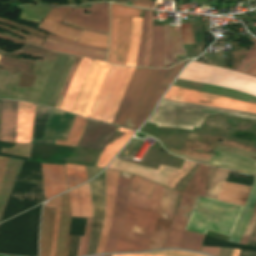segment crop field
I'll return each mask as SVG.
<instances>
[{
	"mask_svg": "<svg viewBox=\"0 0 256 256\" xmlns=\"http://www.w3.org/2000/svg\"><path fill=\"white\" fill-rule=\"evenodd\" d=\"M184 63L167 70L136 68L112 123L137 130Z\"/></svg>",
	"mask_w": 256,
	"mask_h": 256,
	"instance_id": "1",
	"label": "crop field"
},
{
	"mask_svg": "<svg viewBox=\"0 0 256 256\" xmlns=\"http://www.w3.org/2000/svg\"><path fill=\"white\" fill-rule=\"evenodd\" d=\"M163 186L156 184L150 198L131 192L129 204L155 210L160 200ZM128 206V211L120 234L116 252L145 250L158 217L155 211Z\"/></svg>",
	"mask_w": 256,
	"mask_h": 256,
	"instance_id": "2",
	"label": "crop field"
},
{
	"mask_svg": "<svg viewBox=\"0 0 256 256\" xmlns=\"http://www.w3.org/2000/svg\"><path fill=\"white\" fill-rule=\"evenodd\" d=\"M160 104L201 110V111H208V112H214V113H220V114H226V115L256 120V114H253V113L236 111V110H227V109L217 108L213 106L187 104V103L175 102V101H170L165 99H162ZM162 105L158 106L154 115L148 120V122L156 123L158 124V126H164V127H179V128L192 129L193 127H200V125L206 119L207 115L214 114V113L181 109V108L168 107V106H162Z\"/></svg>",
	"mask_w": 256,
	"mask_h": 256,
	"instance_id": "3",
	"label": "crop field"
},
{
	"mask_svg": "<svg viewBox=\"0 0 256 256\" xmlns=\"http://www.w3.org/2000/svg\"><path fill=\"white\" fill-rule=\"evenodd\" d=\"M242 209L198 196L186 230L203 234L209 230L230 236Z\"/></svg>",
	"mask_w": 256,
	"mask_h": 256,
	"instance_id": "4",
	"label": "crop field"
},
{
	"mask_svg": "<svg viewBox=\"0 0 256 256\" xmlns=\"http://www.w3.org/2000/svg\"><path fill=\"white\" fill-rule=\"evenodd\" d=\"M180 79L227 87L256 95V78L221 67L206 66L191 62Z\"/></svg>",
	"mask_w": 256,
	"mask_h": 256,
	"instance_id": "5",
	"label": "crop field"
},
{
	"mask_svg": "<svg viewBox=\"0 0 256 256\" xmlns=\"http://www.w3.org/2000/svg\"><path fill=\"white\" fill-rule=\"evenodd\" d=\"M208 168L209 166L200 164L184 192H179L174 219L164 248H178L196 197L197 195L203 196L205 193Z\"/></svg>",
	"mask_w": 256,
	"mask_h": 256,
	"instance_id": "6",
	"label": "crop field"
},
{
	"mask_svg": "<svg viewBox=\"0 0 256 256\" xmlns=\"http://www.w3.org/2000/svg\"><path fill=\"white\" fill-rule=\"evenodd\" d=\"M110 66L104 62L92 61L72 113L89 117Z\"/></svg>",
	"mask_w": 256,
	"mask_h": 256,
	"instance_id": "7",
	"label": "crop field"
},
{
	"mask_svg": "<svg viewBox=\"0 0 256 256\" xmlns=\"http://www.w3.org/2000/svg\"><path fill=\"white\" fill-rule=\"evenodd\" d=\"M130 67L111 66L89 118L106 122Z\"/></svg>",
	"mask_w": 256,
	"mask_h": 256,
	"instance_id": "8",
	"label": "crop field"
},
{
	"mask_svg": "<svg viewBox=\"0 0 256 256\" xmlns=\"http://www.w3.org/2000/svg\"><path fill=\"white\" fill-rule=\"evenodd\" d=\"M194 164L185 160L181 169L160 165L159 170H155L114 159L108 168L131 172L174 188L176 183L191 170Z\"/></svg>",
	"mask_w": 256,
	"mask_h": 256,
	"instance_id": "9",
	"label": "crop field"
},
{
	"mask_svg": "<svg viewBox=\"0 0 256 256\" xmlns=\"http://www.w3.org/2000/svg\"><path fill=\"white\" fill-rule=\"evenodd\" d=\"M131 174L120 172L115 194L114 211L111 228L104 253L115 252L119 234L127 211L129 189L132 183Z\"/></svg>",
	"mask_w": 256,
	"mask_h": 256,
	"instance_id": "10",
	"label": "crop field"
},
{
	"mask_svg": "<svg viewBox=\"0 0 256 256\" xmlns=\"http://www.w3.org/2000/svg\"><path fill=\"white\" fill-rule=\"evenodd\" d=\"M91 5L92 9L74 8L62 21V23L76 28L108 35L109 3H97ZM82 10H92V13L89 15H84L82 14Z\"/></svg>",
	"mask_w": 256,
	"mask_h": 256,
	"instance_id": "11",
	"label": "crop field"
},
{
	"mask_svg": "<svg viewBox=\"0 0 256 256\" xmlns=\"http://www.w3.org/2000/svg\"><path fill=\"white\" fill-rule=\"evenodd\" d=\"M166 99L179 100L185 102H194L200 104L213 105L217 107L232 108L256 113V104L244 103L232 100L226 97L210 95L201 92H195L180 87L172 86L168 93L165 95ZM200 100L207 101L206 103Z\"/></svg>",
	"mask_w": 256,
	"mask_h": 256,
	"instance_id": "12",
	"label": "crop field"
},
{
	"mask_svg": "<svg viewBox=\"0 0 256 256\" xmlns=\"http://www.w3.org/2000/svg\"><path fill=\"white\" fill-rule=\"evenodd\" d=\"M132 18L111 17L109 50L106 62L125 65Z\"/></svg>",
	"mask_w": 256,
	"mask_h": 256,
	"instance_id": "13",
	"label": "crop field"
},
{
	"mask_svg": "<svg viewBox=\"0 0 256 256\" xmlns=\"http://www.w3.org/2000/svg\"><path fill=\"white\" fill-rule=\"evenodd\" d=\"M176 190L164 188L162 198L158 205L156 213L167 215L166 220L158 219L157 225L146 250L163 248L168 230L173 219L175 204L178 196Z\"/></svg>",
	"mask_w": 256,
	"mask_h": 256,
	"instance_id": "14",
	"label": "crop field"
},
{
	"mask_svg": "<svg viewBox=\"0 0 256 256\" xmlns=\"http://www.w3.org/2000/svg\"><path fill=\"white\" fill-rule=\"evenodd\" d=\"M91 189L93 207H94V224L91 235L90 245L87 255L95 254L97 243L103 223L105 209V171L97 178L88 182Z\"/></svg>",
	"mask_w": 256,
	"mask_h": 256,
	"instance_id": "15",
	"label": "crop field"
},
{
	"mask_svg": "<svg viewBox=\"0 0 256 256\" xmlns=\"http://www.w3.org/2000/svg\"><path fill=\"white\" fill-rule=\"evenodd\" d=\"M71 9L72 7L53 8L43 19L38 29L75 41L81 30L59 24Z\"/></svg>",
	"mask_w": 256,
	"mask_h": 256,
	"instance_id": "16",
	"label": "crop field"
},
{
	"mask_svg": "<svg viewBox=\"0 0 256 256\" xmlns=\"http://www.w3.org/2000/svg\"><path fill=\"white\" fill-rule=\"evenodd\" d=\"M19 101L2 100L0 141L16 143Z\"/></svg>",
	"mask_w": 256,
	"mask_h": 256,
	"instance_id": "17",
	"label": "crop field"
},
{
	"mask_svg": "<svg viewBox=\"0 0 256 256\" xmlns=\"http://www.w3.org/2000/svg\"><path fill=\"white\" fill-rule=\"evenodd\" d=\"M118 171L113 170H106V210H105V220H104V227L100 239V243L98 246V250L96 254H100L104 252L110 223L113 211V202H114V194L117 185L118 179Z\"/></svg>",
	"mask_w": 256,
	"mask_h": 256,
	"instance_id": "18",
	"label": "crop field"
},
{
	"mask_svg": "<svg viewBox=\"0 0 256 256\" xmlns=\"http://www.w3.org/2000/svg\"><path fill=\"white\" fill-rule=\"evenodd\" d=\"M216 155L210 161V165L227 167L256 174V160L237 154L215 150Z\"/></svg>",
	"mask_w": 256,
	"mask_h": 256,
	"instance_id": "19",
	"label": "crop field"
},
{
	"mask_svg": "<svg viewBox=\"0 0 256 256\" xmlns=\"http://www.w3.org/2000/svg\"><path fill=\"white\" fill-rule=\"evenodd\" d=\"M43 176L46 200L67 190L63 165L43 164Z\"/></svg>",
	"mask_w": 256,
	"mask_h": 256,
	"instance_id": "20",
	"label": "crop field"
},
{
	"mask_svg": "<svg viewBox=\"0 0 256 256\" xmlns=\"http://www.w3.org/2000/svg\"><path fill=\"white\" fill-rule=\"evenodd\" d=\"M71 218L69 193L66 192L61 195V215L59 230L57 236L56 255L66 256L70 236H67L69 222Z\"/></svg>",
	"mask_w": 256,
	"mask_h": 256,
	"instance_id": "21",
	"label": "crop field"
},
{
	"mask_svg": "<svg viewBox=\"0 0 256 256\" xmlns=\"http://www.w3.org/2000/svg\"><path fill=\"white\" fill-rule=\"evenodd\" d=\"M72 216L92 218V204L88 183L69 191Z\"/></svg>",
	"mask_w": 256,
	"mask_h": 256,
	"instance_id": "22",
	"label": "crop field"
},
{
	"mask_svg": "<svg viewBox=\"0 0 256 256\" xmlns=\"http://www.w3.org/2000/svg\"><path fill=\"white\" fill-rule=\"evenodd\" d=\"M35 105L20 102L18 112L17 143H30Z\"/></svg>",
	"mask_w": 256,
	"mask_h": 256,
	"instance_id": "23",
	"label": "crop field"
},
{
	"mask_svg": "<svg viewBox=\"0 0 256 256\" xmlns=\"http://www.w3.org/2000/svg\"><path fill=\"white\" fill-rule=\"evenodd\" d=\"M91 61L92 60L90 59H81L77 70L71 80L61 109L70 112Z\"/></svg>",
	"mask_w": 256,
	"mask_h": 256,
	"instance_id": "24",
	"label": "crop field"
},
{
	"mask_svg": "<svg viewBox=\"0 0 256 256\" xmlns=\"http://www.w3.org/2000/svg\"><path fill=\"white\" fill-rule=\"evenodd\" d=\"M165 36V62L164 68L174 63V55H185L180 42L179 27L163 25Z\"/></svg>",
	"mask_w": 256,
	"mask_h": 256,
	"instance_id": "25",
	"label": "crop field"
},
{
	"mask_svg": "<svg viewBox=\"0 0 256 256\" xmlns=\"http://www.w3.org/2000/svg\"><path fill=\"white\" fill-rule=\"evenodd\" d=\"M23 161L9 158L4 179L0 189V219L2 217L4 206L11 193L14 181Z\"/></svg>",
	"mask_w": 256,
	"mask_h": 256,
	"instance_id": "26",
	"label": "crop field"
},
{
	"mask_svg": "<svg viewBox=\"0 0 256 256\" xmlns=\"http://www.w3.org/2000/svg\"><path fill=\"white\" fill-rule=\"evenodd\" d=\"M250 188L249 186L225 182L217 200L243 207Z\"/></svg>",
	"mask_w": 256,
	"mask_h": 256,
	"instance_id": "27",
	"label": "crop field"
},
{
	"mask_svg": "<svg viewBox=\"0 0 256 256\" xmlns=\"http://www.w3.org/2000/svg\"><path fill=\"white\" fill-rule=\"evenodd\" d=\"M256 205V176L243 212L228 241L238 243Z\"/></svg>",
	"mask_w": 256,
	"mask_h": 256,
	"instance_id": "28",
	"label": "crop field"
},
{
	"mask_svg": "<svg viewBox=\"0 0 256 256\" xmlns=\"http://www.w3.org/2000/svg\"><path fill=\"white\" fill-rule=\"evenodd\" d=\"M55 209L56 208H50L46 206L44 208L42 224H41V241H40L41 256H49Z\"/></svg>",
	"mask_w": 256,
	"mask_h": 256,
	"instance_id": "29",
	"label": "crop field"
},
{
	"mask_svg": "<svg viewBox=\"0 0 256 256\" xmlns=\"http://www.w3.org/2000/svg\"><path fill=\"white\" fill-rule=\"evenodd\" d=\"M164 52V36L162 26H154L153 47L151 53L150 67L162 68Z\"/></svg>",
	"mask_w": 256,
	"mask_h": 256,
	"instance_id": "30",
	"label": "crop field"
},
{
	"mask_svg": "<svg viewBox=\"0 0 256 256\" xmlns=\"http://www.w3.org/2000/svg\"><path fill=\"white\" fill-rule=\"evenodd\" d=\"M228 171L229 170L210 167L207 180L208 188L206 189V193L204 196L214 199L216 198Z\"/></svg>",
	"mask_w": 256,
	"mask_h": 256,
	"instance_id": "31",
	"label": "crop field"
},
{
	"mask_svg": "<svg viewBox=\"0 0 256 256\" xmlns=\"http://www.w3.org/2000/svg\"><path fill=\"white\" fill-rule=\"evenodd\" d=\"M119 131L126 132L124 136L118 138L113 143H109L108 146L103 151L100 160L98 162L99 167H106L110 160L115 156V154L121 149V147L126 143V141L132 136L133 131L118 128Z\"/></svg>",
	"mask_w": 256,
	"mask_h": 256,
	"instance_id": "32",
	"label": "crop field"
},
{
	"mask_svg": "<svg viewBox=\"0 0 256 256\" xmlns=\"http://www.w3.org/2000/svg\"><path fill=\"white\" fill-rule=\"evenodd\" d=\"M141 29H142V18H133V25H132V33L128 48V56L126 65H133L136 64L137 59V51L141 36Z\"/></svg>",
	"mask_w": 256,
	"mask_h": 256,
	"instance_id": "33",
	"label": "crop field"
},
{
	"mask_svg": "<svg viewBox=\"0 0 256 256\" xmlns=\"http://www.w3.org/2000/svg\"><path fill=\"white\" fill-rule=\"evenodd\" d=\"M69 189L87 181L85 166L65 164Z\"/></svg>",
	"mask_w": 256,
	"mask_h": 256,
	"instance_id": "34",
	"label": "crop field"
},
{
	"mask_svg": "<svg viewBox=\"0 0 256 256\" xmlns=\"http://www.w3.org/2000/svg\"><path fill=\"white\" fill-rule=\"evenodd\" d=\"M254 45L242 59L236 71L256 77V41L252 39Z\"/></svg>",
	"mask_w": 256,
	"mask_h": 256,
	"instance_id": "35",
	"label": "crop field"
},
{
	"mask_svg": "<svg viewBox=\"0 0 256 256\" xmlns=\"http://www.w3.org/2000/svg\"><path fill=\"white\" fill-rule=\"evenodd\" d=\"M23 9L21 19L39 23L41 19L51 10L49 7L43 6H26L18 7Z\"/></svg>",
	"mask_w": 256,
	"mask_h": 256,
	"instance_id": "36",
	"label": "crop field"
},
{
	"mask_svg": "<svg viewBox=\"0 0 256 256\" xmlns=\"http://www.w3.org/2000/svg\"><path fill=\"white\" fill-rule=\"evenodd\" d=\"M108 36L83 30L77 42L107 48Z\"/></svg>",
	"mask_w": 256,
	"mask_h": 256,
	"instance_id": "37",
	"label": "crop field"
},
{
	"mask_svg": "<svg viewBox=\"0 0 256 256\" xmlns=\"http://www.w3.org/2000/svg\"><path fill=\"white\" fill-rule=\"evenodd\" d=\"M204 236L203 234L186 231L179 248L199 251Z\"/></svg>",
	"mask_w": 256,
	"mask_h": 256,
	"instance_id": "38",
	"label": "crop field"
},
{
	"mask_svg": "<svg viewBox=\"0 0 256 256\" xmlns=\"http://www.w3.org/2000/svg\"><path fill=\"white\" fill-rule=\"evenodd\" d=\"M141 11V9L112 3L110 14L117 17H139Z\"/></svg>",
	"mask_w": 256,
	"mask_h": 256,
	"instance_id": "39",
	"label": "crop field"
},
{
	"mask_svg": "<svg viewBox=\"0 0 256 256\" xmlns=\"http://www.w3.org/2000/svg\"><path fill=\"white\" fill-rule=\"evenodd\" d=\"M154 185L146 179L135 176L130 190L149 197Z\"/></svg>",
	"mask_w": 256,
	"mask_h": 256,
	"instance_id": "40",
	"label": "crop field"
},
{
	"mask_svg": "<svg viewBox=\"0 0 256 256\" xmlns=\"http://www.w3.org/2000/svg\"><path fill=\"white\" fill-rule=\"evenodd\" d=\"M85 126L86 119L76 115L67 140L79 141L85 130Z\"/></svg>",
	"mask_w": 256,
	"mask_h": 256,
	"instance_id": "41",
	"label": "crop field"
},
{
	"mask_svg": "<svg viewBox=\"0 0 256 256\" xmlns=\"http://www.w3.org/2000/svg\"><path fill=\"white\" fill-rule=\"evenodd\" d=\"M46 205L57 206V210H56V214H55V220H54V227H53L51 251H50V256H54L55 255V245H56L58 219H59V213H60V196L51 200V201H49Z\"/></svg>",
	"mask_w": 256,
	"mask_h": 256,
	"instance_id": "42",
	"label": "crop field"
},
{
	"mask_svg": "<svg viewBox=\"0 0 256 256\" xmlns=\"http://www.w3.org/2000/svg\"><path fill=\"white\" fill-rule=\"evenodd\" d=\"M113 256H204L201 254L190 253L186 251H158L144 254H126V255H113Z\"/></svg>",
	"mask_w": 256,
	"mask_h": 256,
	"instance_id": "43",
	"label": "crop field"
},
{
	"mask_svg": "<svg viewBox=\"0 0 256 256\" xmlns=\"http://www.w3.org/2000/svg\"><path fill=\"white\" fill-rule=\"evenodd\" d=\"M152 11L148 10V24H147V39H146V51L143 66L148 67L151 53V39H152Z\"/></svg>",
	"mask_w": 256,
	"mask_h": 256,
	"instance_id": "44",
	"label": "crop field"
},
{
	"mask_svg": "<svg viewBox=\"0 0 256 256\" xmlns=\"http://www.w3.org/2000/svg\"><path fill=\"white\" fill-rule=\"evenodd\" d=\"M92 224H93V220L87 219L85 234H84V237H81V239H80L79 250H78L77 256L86 255L87 247H88V243H89V239H90V235H91V230H92Z\"/></svg>",
	"mask_w": 256,
	"mask_h": 256,
	"instance_id": "45",
	"label": "crop field"
},
{
	"mask_svg": "<svg viewBox=\"0 0 256 256\" xmlns=\"http://www.w3.org/2000/svg\"><path fill=\"white\" fill-rule=\"evenodd\" d=\"M74 57H75V56H73V55L70 56V58H69V60H68V62H67V65H66V67H65V69H64V71H63V73H62V76H61V78H60V80H59V82H58V85H57V87H56V90H55V92H54V94H53V97H52V100H51L49 106H52V107L55 106L56 101H57L58 96H59V94H60V92H61V89H62V87H63L64 81H65V79H66L67 73H68V71H69V69H70V66H71V64H72V61H73Z\"/></svg>",
	"mask_w": 256,
	"mask_h": 256,
	"instance_id": "46",
	"label": "crop field"
},
{
	"mask_svg": "<svg viewBox=\"0 0 256 256\" xmlns=\"http://www.w3.org/2000/svg\"><path fill=\"white\" fill-rule=\"evenodd\" d=\"M86 219L72 217L68 235L83 236Z\"/></svg>",
	"mask_w": 256,
	"mask_h": 256,
	"instance_id": "47",
	"label": "crop field"
},
{
	"mask_svg": "<svg viewBox=\"0 0 256 256\" xmlns=\"http://www.w3.org/2000/svg\"><path fill=\"white\" fill-rule=\"evenodd\" d=\"M146 22H147V10H144L143 30H142V36H141V42H140V48H139V54H138V59H137L136 66H142V63H143L144 49H145V39H146Z\"/></svg>",
	"mask_w": 256,
	"mask_h": 256,
	"instance_id": "48",
	"label": "crop field"
},
{
	"mask_svg": "<svg viewBox=\"0 0 256 256\" xmlns=\"http://www.w3.org/2000/svg\"><path fill=\"white\" fill-rule=\"evenodd\" d=\"M134 69H135V68H131L130 71H129V73H128V76H127V78H126V80H125V82H124V85H123V87H122V89H121V92H120V94H119V96H118V98H117V101H116V103H115V105H114V108H113V110H112V112H111V114H110V117H109L108 121H107V122H109V123H111L112 120H113V118H114V115H115V113H116V111H117V108H118V106H119V104H120V101H121V99H122V97H123V94H124V92H125V90H126V87H127L128 83H129V80H130V78H131V76H132V73H133Z\"/></svg>",
	"mask_w": 256,
	"mask_h": 256,
	"instance_id": "49",
	"label": "crop field"
},
{
	"mask_svg": "<svg viewBox=\"0 0 256 256\" xmlns=\"http://www.w3.org/2000/svg\"><path fill=\"white\" fill-rule=\"evenodd\" d=\"M79 60H80V57H77V56H76L74 62L78 63ZM77 65H78V64H75V63L72 64L71 69H70V71H69V74H68V76H67L66 82H65V84H64V87H63L62 92H61L60 95H62V96L65 95L66 90H67L68 85H69V82H70V80H71V77H72V75H73V73H74V71H75ZM62 96L59 97L58 102H57V104H56L55 107H57V108L60 107L61 102H62V100H63V98H64V97H62Z\"/></svg>",
	"mask_w": 256,
	"mask_h": 256,
	"instance_id": "50",
	"label": "crop field"
},
{
	"mask_svg": "<svg viewBox=\"0 0 256 256\" xmlns=\"http://www.w3.org/2000/svg\"><path fill=\"white\" fill-rule=\"evenodd\" d=\"M181 36L183 44L194 43L193 33L189 23L181 24Z\"/></svg>",
	"mask_w": 256,
	"mask_h": 256,
	"instance_id": "51",
	"label": "crop field"
},
{
	"mask_svg": "<svg viewBox=\"0 0 256 256\" xmlns=\"http://www.w3.org/2000/svg\"><path fill=\"white\" fill-rule=\"evenodd\" d=\"M255 221H256V207L253 211L250 222H249V224H248V226H247V228H246V230H245V232H244V234H243L239 243H243V244L247 243Z\"/></svg>",
	"mask_w": 256,
	"mask_h": 256,
	"instance_id": "52",
	"label": "crop field"
},
{
	"mask_svg": "<svg viewBox=\"0 0 256 256\" xmlns=\"http://www.w3.org/2000/svg\"><path fill=\"white\" fill-rule=\"evenodd\" d=\"M79 239H80V236H71L69 250H68V256H76L77 255Z\"/></svg>",
	"mask_w": 256,
	"mask_h": 256,
	"instance_id": "53",
	"label": "crop field"
},
{
	"mask_svg": "<svg viewBox=\"0 0 256 256\" xmlns=\"http://www.w3.org/2000/svg\"><path fill=\"white\" fill-rule=\"evenodd\" d=\"M127 4H129V3H127ZM129 5H134V6H138V7H144V8H153L155 5V2L134 0L133 4H129Z\"/></svg>",
	"mask_w": 256,
	"mask_h": 256,
	"instance_id": "54",
	"label": "crop field"
},
{
	"mask_svg": "<svg viewBox=\"0 0 256 256\" xmlns=\"http://www.w3.org/2000/svg\"><path fill=\"white\" fill-rule=\"evenodd\" d=\"M44 44L45 45H49V46H54V47H59V48L67 49V50L74 51V52L84 53V54H90V55H96V56H102V57L106 56V55H103V54L83 52V51H79V50H75V49H72V48H68V47H64V46H60V45H56V44H52V43H47V42H44Z\"/></svg>",
	"mask_w": 256,
	"mask_h": 256,
	"instance_id": "55",
	"label": "crop field"
},
{
	"mask_svg": "<svg viewBox=\"0 0 256 256\" xmlns=\"http://www.w3.org/2000/svg\"><path fill=\"white\" fill-rule=\"evenodd\" d=\"M42 47H43V48H46V49H50V50H56V51H61V52L69 53V54H74V55H80V56H86V57L96 58V59H100V60L104 61V58H101V57H95V56H90V55H84V54L74 53V52H70V51H67V50L58 49V48L49 47V46H44V45H42Z\"/></svg>",
	"mask_w": 256,
	"mask_h": 256,
	"instance_id": "56",
	"label": "crop field"
},
{
	"mask_svg": "<svg viewBox=\"0 0 256 256\" xmlns=\"http://www.w3.org/2000/svg\"><path fill=\"white\" fill-rule=\"evenodd\" d=\"M46 41L53 42V43L60 44V45H64V46H68V47H72V48H76V49H80V50H84V51L97 52V53H103V54L106 53V52H104V51H98V50H92V49H86V48L75 47V46H73V45H68V44L60 43V42L53 41V40H49V39H46Z\"/></svg>",
	"mask_w": 256,
	"mask_h": 256,
	"instance_id": "57",
	"label": "crop field"
},
{
	"mask_svg": "<svg viewBox=\"0 0 256 256\" xmlns=\"http://www.w3.org/2000/svg\"><path fill=\"white\" fill-rule=\"evenodd\" d=\"M87 174H88V179L96 176L100 171L103 170V168H94V167H89L86 166Z\"/></svg>",
	"mask_w": 256,
	"mask_h": 256,
	"instance_id": "58",
	"label": "crop field"
},
{
	"mask_svg": "<svg viewBox=\"0 0 256 256\" xmlns=\"http://www.w3.org/2000/svg\"><path fill=\"white\" fill-rule=\"evenodd\" d=\"M49 37H50V38H53V39H55V40H58V41H62V42H66V43H70V44H74V45H79V46H84V47L93 48V49H98V50H104V51L107 50V49H103V48H97V47H92V46H86V45L77 44V43H74V42H71V41H68V40L59 38V37H55V36H52V35H49Z\"/></svg>",
	"mask_w": 256,
	"mask_h": 256,
	"instance_id": "59",
	"label": "crop field"
},
{
	"mask_svg": "<svg viewBox=\"0 0 256 256\" xmlns=\"http://www.w3.org/2000/svg\"><path fill=\"white\" fill-rule=\"evenodd\" d=\"M7 159L8 158L0 157V186H1L2 179H3Z\"/></svg>",
	"mask_w": 256,
	"mask_h": 256,
	"instance_id": "60",
	"label": "crop field"
},
{
	"mask_svg": "<svg viewBox=\"0 0 256 256\" xmlns=\"http://www.w3.org/2000/svg\"><path fill=\"white\" fill-rule=\"evenodd\" d=\"M218 250H219V248L203 247L201 251L217 256Z\"/></svg>",
	"mask_w": 256,
	"mask_h": 256,
	"instance_id": "61",
	"label": "crop field"
},
{
	"mask_svg": "<svg viewBox=\"0 0 256 256\" xmlns=\"http://www.w3.org/2000/svg\"><path fill=\"white\" fill-rule=\"evenodd\" d=\"M233 249L220 248L218 256H232Z\"/></svg>",
	"mask_w": 256,
	"mask_h": 256,
	"instance_id": "62",
	"label": "crop field"
},
{
	"mask_svg": "<svg viewBox=\"0 0 256 256\" xmlns=\"http://www.w3.org/2000/svg\"><path fill=\"white\" fill-rule=\"evenodd\" d=\"M55 144H62V145H67V146L75 147L77 142L56 140Z\"/></svg>",
	"mask_w": 256,
	"mask_h": 256,
	"instance_id": "63",
	"label": "crop field"
},
{
	"mask_svg": "<svg viewBox=\"0 0 256 256\" xmlns=\"http://www.w3.org/2000/svg\"><path fill=\"white\" fill-rule=\"evenodd\" d=\"M33 141V139H32ZM55 141V140H54ZM53 140H38V139H34L33 143H50L52 144ZM54 144V142H53Z\"/></svg>",
	"mask_w": 256,
	"mask_h": 256,
	"instance_id": "64",
	"label": "crop field"
},
{
	"mask_svg": "<svg viewBox=\"0 0 256 256\" xmlns=\"http://www.w3.org/2000/svg\"><path fill=\"white\" fill-rule=\"evenodd\" d=\"M238 252H239V250L234 249L233 256H238Z\"/></svg>",
	"mask_w": 256,
	"mask_h": 256,
	"instance_id": "65",
	"label": "crop field"
},
{
	"mask_svg": "<svg viewBox=\"0 0 256 256\" xmlns=\"http://www.w3.org/2000/svg\"><path fill=\"white\" fill-rule=\"evenodd\" d=\"M108 256H112V255H108Z\"/></svg>",
	"mask_w": 256,
	"mask_h": 256,
	"instance_id": "66",
	"label": "crop field"
}]
</instances>
